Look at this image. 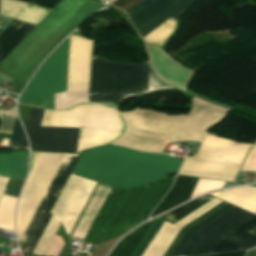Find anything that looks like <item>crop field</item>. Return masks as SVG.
I'll list each match as a JSON object with an SVG mask.
<instances>
[{
	"label": "crop field",
	"mask_w": 256,
	"mask_h": 256,
	"mask_svg": "<svg viewBox=\"0 0 256 256\" xmlns=\"http://www.w3.org/2000/svg\"><path fill=\"white\" fill-rule=\"evenodd\" d=\"M41 126L80 128L77 152L112 144L125 129V123L117 108L100 104H82L63 111L45 110ZM77 162L152 182L165 178L166 173L177 172L182 161L172 156L106 145L82 152ZM78 163L72 174L83 178L126 189L148 183ZM174 178L129 190L113 186L84 242L97 245L147 220Z\"/></svg>",
	"instance_id": "obj_1"
},
{
	"label": "crop field",
	"mask_w": 256,
	"mask_h": 256,
	"mask_svg": "<svg viewBox=\"0 0 256 256\" xmlns=\"http://www.w3.org/2000/svg\"><path fill=\"white\" fill-rule=\"evenodd\" d=\"M227 109L194 98L189 115L171 116L135 109L121 113L127 130L114 144L139 151L160 153L169 141L197 140L220 120Z\"/></svg>",
	"instance_id": "obj_2"
},
{
	"label": "crop field",
	"mask_w": 256,
	"mask_h": 256,
	"mask_svg": "<svg viewBox=\"0 0 256 256\" xmlns=\"http://www.w3.org/2000/svg\"><path fill=\"white\" fill-rule=\"evenodd\" d=\"M79 154L80 153L67 154L66 156V154L61 153H40L25 183L18 205L16 217L18 242L25 232L65 156L66 158L19 243V246L31 248V251H33L52 215L49 211L63 188Z\"/></svg>",
	"instance_id": "obj_3"
},
{
	"label": "crop field",
	"mask_w": 256,
	"mask_h": 256,
	"mask_svg": "<svg viewBox=\"0 0 256 256\" xmlns=\"http://www.w3.org/2000/svg\"><path fill=\"white\" fill-rule=\"evenodd\" d=\"M101 7L90 0H61L0 63V68L17 78L24 87L49 52Z\"/></svg>",
	"instance_id": "obj_4"
},
{
	"label": "crop field",
	"mask_w": 256,
	"mask_h": 256,
	"mask_svg": "<svg viewBox=\"0 0 256 256\" xmlns=\"http://www.w3.org/2000/svg\"><path fill=\"white\" fill-rule=\"evenodd\" d=\"M162 88L172 87L154 75L148 61L135 64L92 58L89 102L116 105L132 95Z\"/></svg>",
	"instance_id": "obj_5"
},
{
	"label": "crop field",
	"mask_w": 256,
	"mask_h": 256,
	"mask_svg": "<svg viewBox=\"0 0 256 256\" xmlns=\"http://www.w3.org/2000/svg\"><path fill=\"white\" fill-rule=\"evenodd\" d=\"M70 36L30 80L18 103L54 110L53 92L66 90Z\"/></svg>",
	"instance_id": "obj_6"
},
{
	"label": "crop field",
	"mask_w": 256,
	"mask_h": 256,
	"mask_svg": "<svg viewBox=\"0 0 256 256\" xmlns=\"http://www.w3.org/2000/svg\"><path fill=\"white\" fill-rule=\"evenodd\" d=\"M96 182L70 174L50 212L53 213L33 253L41 254L57 224L61 221L69 235Z\"/></svg>",
	"instance_id": "obj_7"
},
{
	"label": "crop field",
	"mask_w": 256,
	"mask_h": 256,
	"mask_svg": "<svg viewBox=\"0 0 256 256\" xmlns=\"http://www.w3.org/2000/svg\"><path fill=\"white\" fill-rule=\"evenodd\" d=\"M254 216L255 215L235 206L228 212L193 233L179 256L207 253L212 244L222 237L247 249L256 246L255 243L230 233Z\"/></svg>",
	"instance_id": "obj_8"
},
{
	"label": "crop field",
	"mask_w": 256,
	"mask_h": 256,
	"mask_svg": "<svg viewBox=\"0 0 256 256\" xmlns=\"http://www.w3.org/2000/svg\"><path fill=\"white\" fill-rule=\"evenodd\" d=\"M43 112L33 107L24 125L31 151L76 152L79 129L40 127Z\"/></svg>",
	"instance_id": "obj_9"
},
{
	"label": "crop field",
	"mask_w": 256,
	"mask_h": 256,
	"mask_svg": "<svg viewBox=\"0 0 256 256\" xmlns=\"http://www.w3.org/2000/svg\"><path fill=\"white\" fill-rule=\"evenodd\" d=\"M155 74L163 81L184 91L193 71L184 67L155 45L144 46Z\"/></svg>",
	"instance_id": "obj_10"
},
{
	"label": "crop field",
	"mask_w": 256,
	"mask_h": 256,
	"mask_svg": "<svg viewBox=\"0 0 256 256\" xmlns=\"http://www.w3.org/2000/svg\"><path fill=\"white\" fill-rule=\"evenodd\" d=\"M250 146L249 144L207 135L195 157L241 166Z\"/></svg>",
	"instance_id": "obj_11"
},
{
	"label": "crop field",
	"mask_w": 256,
	"mask_h": 256,
	"mask_svg": "<svg viewBox=\"0 0 256 256\" xmlns=\"http://www.w3.org/2000/svg\"><path fill=\"white\" fill-rule=\"evenodd\" d=\"M220 202L221 201L214 198L174 225L164 221V223L162 224V226L160 227V229L141 256H162L182 227H184L200 215L204 214Z\"/></svg>",
	"instance_id": "obj_12"
},
{
	"label": "crop field",
	"mask_w": 256,
	"mask_h": 256,
	"mask_svg": "<svg viewBox=\"0 0 256 256\" xmlns=\"http://www.w3.org/2000/svg\"><path fill=\"white\" fill-rule=\"evenodd\" d=\"M239 167L198 158H185L179 174L233 181Z\"/></svg>",
	"instance_id": "obj_13"
},
{
	"label": "crop field",
	"mask_w": 256,
	"mask_h": 256,
	"mask_svg": "<svg viewBox=\"0 0 256 256\" xmlns=\"http://www.w3.org/2000/svg\"><path fill=\"white\" fill-rule=\"evenodd\" d=\"M178 1L179 0H142L135 6L125 11L126 18L136 32L146 23L154 19L156 16Z\"/></svg>",
	"instance_id": "obj_14"
},
{
	"label": "crop field",
	"mask_w": 256,
	"mask_h": 256,
	"mask_svg": "<svg viewBox=\"0 0 256 256\" xmlns=\"http://www.w3.org/2000/svg\"><path fill=\"white\" fill-rule=\"evenodd\" d=\"M50 9L17 0H0V15L37 24Z\"/></svg>",
	"instance_id": "obj_15"
},
{
	"label": "crop field",
	"mask_w": 256,
	"mask_h": 256,
	"mask_svg": "<svg viewBox=\"0 0 256 256\" xmlns=\"http://www.w3.org/2000/svg\"><path fill=\"white\" fill-rule=\"evenodd\" d=\"M198 179L178 176L173 187L154 210L151 217L188 200Z\"/></svg>",
	"instance_id": "obj_16"
},
{
	"label": "crop field",
	"mask_w": 256,
	"mask_h": 256,
	"mask_svg": "<svg viewBox=\"0 0 256 256\" xmlns=\"http://www.w3.org/2000/svg\"><path fill=\"white\" fill-rule=\"evenodd\" d=\"M35 27L25 22L14 20L0 35V62L12 49Z\"/></svg>",
	"instance_id": "obj_17"
},
{
	"label": "crop field",
	"mask_w": 256,
	"mask_h": 256,
	"mask_svg": "<svg viewBox=\"0 0 256 256\" xmlns=\"http://www.w3.org/2000/svg\"><path fill=\"white\" fill-rule=\"evenodd\" d=\"M28 160V152H13L0 155V175L24 180Z\"/></svg>",
	"instance_id": "obj_18"
},
{
	"label": "crop field",
	"mask_w": 256,
	"mask_h": 256,
	"mask_svg": "<svg viewBox=\"0 0 256 256\" xmlns=\"http://www.w3.org/2000/svg\"><path fill=\"white\" fill-rule=\"evenodd\" d=\"M217 198L225 200L256 215L255 187L244 186L225 190L219 194Z\"/></svg>",
	"instance_id": "obj_19"
},
{
	"label": "crop field",
	"mask_w": 256,
	"mask_h": 256,
	"mask_svg": "<svg viewBox=\"0 0 256 256\" xmlns=\"http://www.w3.org/2000/svg\"><path fill=\"white\" fill-rule=\"evenodd\" d=\"M197 1L199 0H180L178 3H176L164 13L159 15L157 18L152 20L150 23L142 27L138 32H136L137 35L141 39L168 18L175 22L178 21L182 12L192 6Z\"/></svg>",
	"instance_id": "obj_20"
},
{
	"label": "crop field",
	"mask_w": 256,
	"mask_h": 256,
	"mask_svg": "<svg viewBox=\"0 0 256 256\" xmlns=\"http://www.w3.org/2000/svg\"><path fill=\"white\" fill-rule=\"evenodd\" d=\"M153 221L136 228L126 235L108 256H130Z\"/></svg>",
	"instance_id": "obj_21"
},
{
	"label": "crop field",
	"mask_w": 256,
	"mask_h": 256,
	"mask_svg": "<svg viewBox=\"0 0 256 256\" xmlns=\"http://www.w3.org/2000/svg\"><path fill=\"white\" fill-rule=\"evenodd\" d=\"M232 207L233 206L226 203L223 206H221L220 208H218L217 210H215L214 212H212L211 214H209L208 216L204 217L203 219H201L200 221H198L197 223H195L194 225H192L191 227L186 229L168 256H178V254L180 253V251L182 250L185 243L187 242V240L189 239V237L191 236V234L193 232H195L199 228L203 227L204 225H206L213 219L217 218L218 216H220L227 210L231 209Z\"/></svg>",
	"instance_id": "obj_22"
},
{
	"label": "crop field",
	"mask_w": 256,
	"mask_h": 256,
	"mask_svg": "<svg viewBox=\"0 0 256 256\" xmlns=\"http://www.w3.org/2000/svg\"><path fill=\"white\" fill-rule=\"evenodd\" d=\"M212 198L213 197H209L207 195L203 196V197L198 198L180 208L170 211V212L160 216L159 218L174 224L177 221H179L180 219H182L183 217H185L186 215H188L189 213H191L192 211L196 210L197 208H199L200 206H202L203 204H205L206 202L211 200Z\"/></svg>",
	"instance_id": "obj_23"
},
{
	"label": "crop field",
	"mask_w": 256,
	"mask_h": 256,
	"mask_svg": "<svg viewBox=\"0 0 256 256\" xmlns=\"http://www.w3.org/2000/svg\"><path fill=\"white\" fill-rule=\"evenodd\" d=\"M174 28L175 22L168 19L141 40L144 44L154 43L161 47Z\"/></svg>",
	"instance_id": "obj_24"
},
{
	"label": "crop field",
	"mask_w": 256,
	"mask_h": 256,
	"mask_svg": "<svg viewBox=\"0 0 256 256\" xmlns=\"http://www.w3.org/2000/svg\"><path fill=\"white\" fill-rule=\"evenodd\" d=\"M163 223V220L156 218L155 221L152 223L140 243L137 245L131 256H140L150 240L153 238L161 224Z\"/></svg>",
	"instance_id": "obj_25"
},
{
	"label": "crop field",
	"mask_w": 256,
	"mask_h": 256,
	"mask_svg": "<svg viewBox=\"0 0 256 256\" xmlns=\"http://www.w3.org/2000/svg\"><path fill=\"white\" fill-rule=\"evenodd\" d=\"M232 233L256 243V217L240 226Z\"/></svg>",
	"instance_id": "obj_26"
},
{
	"label": "crop field",
	"mask_w": 256,
	"mask_h": 256,
	"mask_svg": "<svg viewBox=\"0 0 256 256\" xmlns=\"http://www.w3.org/2000/svg\"><path fill=\"white\" fill-rule=\"evenodd\" d=\"M15 109H8L7 111L0 110V132H11V126L16 117Z\"/></svg>",
	"instance_id": "obj_27"
},
{
	"label": "crop field",
	"mask_w": 256,
	"mask_h": 256,
	"mask_svg": "<svg viewBox=\"0 0 256 256\" xmlns=\"http://www.w3.org/2000/svg\"><path fill=\"white\" fill-rule=\"evenodd\" d=\"M18 120L13 125L11 148H28V144L26 142L24 132Z\"/></svg>",
	"instance_id": "obj_28"
},
{
	"label": "crop field",
	"mask_w": 256,
	"mask_h": 256,
	"mask_svg": "<svg viewBox=\"0 0 256 256\" xmlns=\"http://www.w3.org/2000/svg\"><path fill=\"white\" fill-rule=\"evenodd\" d=\"M59 225H60V223L58 224L56 230L58 229ZM56 230H55V232H56ZM55 232H54V234H55ZM54 234L52 235V237H51L49 243L47 244L43 253L49 254L52 256H58L64 243L60 236H57Z\"/></svg>",
	"instance_id": "obj_29"
},
{
	"label": "crop field",
	"mask_w": 256,
	"mask_h": 256,
	"mask_svg": "<svg viewBox=\"0 0 256 256\" xmlns=\"http://www.w3.org/2000/svg\"><path fill=\"white\" fill-rule=\"evenodd\" d=\"M245 249L237 244H234L224 238L220 239L216 243L213 244L208 253L212 252H222V251H232V250H242Z\"/></svg>",
	"instance_id": "obj_30"
},
{
	"label": "crop field",
	"mask_w": 256,
	"mask_h": 256,
	"mask_svg": "<svg viewBox=\"0 0 256 256\" xmlns=\"http://www.w3.org/2000/svg\"><path fill=\"white\" fill-rule=\"evenodd\" d=\"M256 170V143L250 149L241 171Z\"/></svg>",
	"instance_id": "obj_31"
},
{
	"label": "crop field",
	"mask_w": 256,
	"mask_h": 256,
	"mask_svg": "<svg viewBox=\"0 0 256 256\" xmlns=\"http://www.w3.org/2000/svg\"><path fill=\"white\" fill-rule=\"evenodd\" d=\"M224 202L220 203L219 205H217L216 207H214L213 209H211L210 211H208L207 213H205L204 215L200 216L199 218H197L196 220H194L193 222H191L190 224H188L187 226H185L184 228L181 229V231L179 232V234L176 236V238L174 239V241L172 242V244L169 246V248L167 249V251L165 252V254L163 256H167L169 254V252L171 251V249L173 248V246L175 245V243L178 241V239L180 238V236L182 235V233L184 232V230L186 228H188L189 226H191L192 224H194L195 222H197L198 220H200L201 218H203L204 216L208 215L209 213H211L212 211H214L215 209H217L218 207H220L221 205H223Z\"/></svg>",
	"instance_id": "obj_32"
},
{
	"label": "crop field",
	"mask_w": 256,
	"mask_h": 256,
	"mask_svg": "<svg viewBox=\"0 0 256 256\" xmlns=\"http://www.w3.org/2000/svg\"><path fill=\"white\" fill-rule=\"evenodd\" d=\"M22 184L23 182L11 179L4 194L17 198Z\"/></svg>",
	"instance_id": "obj_33"
},
{
	"label": "crop field",
	"mask_w": 256,
	"mask_h": 256,
	"mask_svg": "<svg viewBox=\"0 0 256 256\" xmlns=\"http://www.w3.org/2000/svg\"><path fill=\"white\" fill-rule=\"evenodd\" d=\"M30 4L53 9L60 0H21Z\"/></svg>",
	"instance_id": "obj_34"
},
{
	"label": "crop field",
	"mask_w": 256,
	"mask_h": 256,
	"mask_svg": "<svg viewBox=\"0 0 256 256\" xmlns=\"http://www.w3.org/2000/svg\"><path fill=\"white\" fill-rule=\"evenodd\" d=\"M140 0H116L111 3V5L117 7L118 9L125 11Z\"/></svg>",
	"instance_id": "obj_35"
},
{
	"label": "crop field",
	"mask_w": 256,
	"mask_h": 256,
	"mask_svg": "<svg viewBox=\"0 0 256 256\" xmlns=\"http://www.w3.org/2000/svg\"><path fill=\"white\" fill-rule=\"evenodd\" d=\"M244 252H246V251L220 253V254H215L214 256H243Z\"/></svg>",
	"instance_id": "obj_36"
},
{
	"label": "crop field",
	"mask_w": 256,
	"mask_h": 256,
	"mask_svg": "<svg viewBox=\"0 0 256 256\" xmlns=\"http://www.w3.org/2000/svg\"><path fill=\"white\" fill-rule=\"evenodd\" d=\"M246 256H256V248L248 251V253L246 254Z\"/></svg>",
	"instance_id": "obj_37"
},
{
	"label": "crop field",
	"mask_w": 256,
	"mask_h": 256,
	"mask_svg": "<svg viewBox=\"0 0 256 256\" xmlns=\"http://www.w3.org/2000/svg\"><path fill=\"white\" fill-rule=\"evenodd\" d=\"M214 254H210V255H201V256H213Z\"/></svg>",
	"instance_id": "obj_38"
},
{
	"label": "crop field",
	"mask_w": 256,
	"mask_h": 256,
	"mask_svg": "<svg viewBox=\"0 0 256 256\" xmlns=\"http://www.w3.org/2000/svg\"><path fill=\"white\" fill-rule=\"evenodd\" d=\"M1 231V230H0ZM2 243H0V245H1Z\"/></svg>",
	"instance_id": "obj_39"
},
{
	"label": "crop field",
	"mask_w": 256,
	"mask_h": 256,
	"mask_svg": "<svg viewBox=\"0 0 256 256\" xmlns=\"http://www.w3.org/2000/svg\"><path fill=\"white\" fill-rule=\"evenodd\" d=\"M108 1H112V0H108Z\"/></svg>",
	"instance_id": "obj_40"
}]
</instances>
